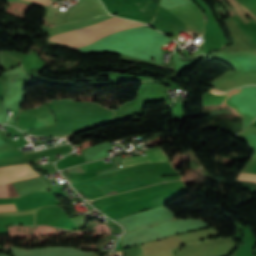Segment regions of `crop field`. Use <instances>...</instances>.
<instances>
[{
    "label": "crop field",
    "instance_id": "obj_1",
    "mask_svg": "<svg viewBox=\"0 0 256 256\" xmlns=\"http://www.w3.org/2000/svg\"><path fill=\"white\" fill-rule=\"evenodd\" d=\"M137 24L140 23L114 17L110 20L92 26L54 35L52 36V39L65 42L77 47H82L108 34L114 33L122 29L130 28L131 26Z\"/></svg>",
    "mask_w": 256,
    "mask_h": 256
},
{
    "label": "crop field",
    "instance_id": "obj_8",
    "mask_svg": "<svg viewBox=\"0 0 256 256\" xmlns=\"http://www.w3.org/2000/svg\"><path fill=\"white\" fill-rule=\"evenodd\" d=\"M30 1L37 2V3L44 4V5L48 6L51 0H30Z\"/></svg>",
    "mask_w": 256,
    "mask_h": 256
},
{
    "label": "crop field",
    "instance_id": "obj_7",
    "mask_svg": "<svg viewBox=\"0 0 256 256\" xmlns=\"http://www.w3.org/2000/svg\"><path fill=\"white\" fill-rule=\"evenodd\" d=\"M13 210L16 211V208L14 204L11 205ZM10 205H1L0 206V212H8V211H13Z\"/></svg>",
    "mask_w": 256,
    "mask_h": 256
},
{
    "label": "crop field",
    "instance_id": "obj_5",
    "mask_svg": "<svg viewBox=\"0 0 256 256\" xmlns=\"http://www.w3.org/2000/svg\"><path fill=\"white\" fill-rule=\"evenodd\" d=\"M18 196L12 184L0 185V197H15Z\"/></svg>",
    "mask_w": 256,
    "mask_h": 256
},
{
    "label": "crop field",
    "instance_id": "obj_2",
    "mask_svg": "<svg viewBox=\"0 0 256 256\" xmlns=\"http://www.w3.org/2000/svg\"><path fill=\"white\" fill-rule=\"evenodd\" d=\"M39 175L29 164L0 167V184L22 181Z\"/></svg>",
    "mask_w": 256,
    "mask_h": 256
},
{
    "label": "crop field",
    "instance_id": "obj_4",
    "mask_svg": "<svg viewBox=\"0 0 256 256\" xmlns=\"http://www.w3.org/2000/svg\"><path fill=\"white\" fill-rule=\"evenodd\" d=\"M59 8H48L46 12V22L58 25L62 24L66 20L68 11H58Z\"/></svg>",
    "mask_w": 256,
    "mask_h": 256
},
{
    "label": "crop field",
    "instance_id": "obj_3",
    "mask_svg": "<svg viewBox=\"0 0 256 256\" xmlns=\"http://www.w3.org/2000/svg\"><path fill=\"white\" fill-rule=\"evenodd\" d=\"M146 155L124 158L122 159L124 168L139 164V163H146V162H154V161H163L167 160L164 154L158 149L150 152H146Z\"/></svg>",
    "mask_w": 256,
    "mask_h": 256
},
{
    "label": "crop field",
    "instance_id": "obj_9",
    "mask_svg": "<svg viewBox=\"0 0 256 256\" xmlns=\"http://www.w3.org/2000/svg\"><path fill=\"white\" fill-rule=\"evenodd\" d=\"M255 253H256V251H255Z\"/></svg>",
    "mask_w": 256,
    "mask_h": 256
},
{
    "label": "crop field",
    "instance_id": "obj_6",
    "mask_svg": "<svg viewBox=\"0 0 256 256\" xmlns=\"http://www.w3.org/2000/svg\"><path fill=\"white\" fill-rule=\"evenodd\" d=\"M238 178L256 183V175L240 173Z\"/></svg>",
    "mask_w": 256,
    "mask_h": 256
}]
</instances>
